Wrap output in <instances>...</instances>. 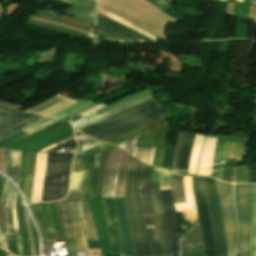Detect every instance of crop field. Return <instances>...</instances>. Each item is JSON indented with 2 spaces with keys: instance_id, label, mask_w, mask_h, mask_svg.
Here are the masks:
<instances>
[{
  "instance_id": "1",
  "label": "crop field",
  "mask_w": 256,
  "mask_h": 256,
  "mask_svg": "<svg viewBox=\"0 0 256 256\" xmlns=\"http://www.w3.org/2000/svg\"><path fill=\"white\" fill-rule=\"evenodd\" d=\"M150 167L149 165L143 164L139 161V172H138V159L131 157L130 164L128 167V173H127V181H126V187H125V193L124 198L131 222V227L134 235V243H135V251L136 256H161V251L157 252H151L160 250V242L162 247V256H172V254H167L166 249V241H165V235L164 230L161 222L160 215H162V207L159 193L150 192L151 195V201L155 216L156 225L158 228L159 236H160V242H159V236L156 229L154 218L146 219L147 221V227L149 232V238L151 243V249H150V243L148 238V232L146 227V221L145 218L153 217L152 210H151V204L149 197V180H140V196L145 198H140L139 196V179H149L150 176ZM137 172H138V188H137ZM136 188H137V198L148 248H146L137 198H136ZM159 192V191H157ZM123 197H117L113 198L121 232L122 237L124 241V256H135L134 251V243H133V235L130 227V222L125 206ZM162 221L165 229L166 234V240H167V248L168 253H172L171 245H170V235L168 232L165 216L162 215Z\"/></svg>"
},
{
  "instance_id": "2",
  "label": "crop field",
  "mask_w": 256,
  "mask_h": 256,
  "mask_svg": "<svg viewBox=\"0 0 256 256\" xmlns=\"http://www.w3.org/2000/svg\"><path fill=\"white\" fill-rule=\"evenodd\" d=\"M162 108L153 100H147L121 111L80 132L96 139L112 142L145 125L162 120Z\"/></svg>"
},
{
  "instance_id": "3",
  "label": "crop field",
  "mask_w": 256,
  "mask_h": 256,
  "mask_svg": "<svg viewBox=\"0 0 256 256\" xmlns=\"http://www.w3.org/2000/svg\"><path fill=\"white\" fill-rule=\"evenodd\" d=\"M75 148L76 143L73 138L46 151L48 152V158L41 201H55L65 196Z\"/></svg>"
},
{
  "instance_id": "4",
  "label": "crop field",
  "mask_w": 256,
  "mask_h": 256,
  "mask_svg": "<svg viewBox=\"0 0 256 256\" xmlns=\"http://www.w3.org/2000/svg\"><path fill=\"white\" fill-rule=\"evenodd\" d=\"M77 251H88L86 240L98 239L89 199L68 201Z\"/></svg>"
},
{
  "instance_id": "5",
  "label": "crop field",
  "mask_w": 256,
  "mask_h": 256,
  "mask_svg": "<svg viewBox=\"0 0 256 256\" xmlns=\"http://www.w3.org/2000/svg\"><path fill=\"white\" fill-rule=\"evenodd\" d=\"M217 202L225 233L227 256H233L236 247V215L232 185L216 180Z\"/></svg>"
},
{
  "instance_id": "6",
  "label": "crop field",
  "mask_w": 256,
  "mask_h": 256,
  "mask_svg": "<svg viewBox=\"0 0 256 256\" xmlns=\"http://www.w3.org/2000/svg\"><path fill=\"white\" fill-rule=\"evenodd\" d=\"M168 125L169 123L164 120L156 122L143 127L111 144L118 145L125 140L139 135L135 146L156 147L152 165L161 167Z\"/></svg>"
},
{
  "instance_id": "7",
  "label": "crop field",
  "mask_w": 256,
  "mask_h": 256,
  "mask_svg": "<svg viewBox=\"0 0 256 256\" xmlns=\"http://www.w3.org/2000/svg\"><path fill=\"white\" fill-rule=\"evenodd\" d=\"M235 202L239 225V240L236 255H239L241 253L248 251L249 228L251 217L250 184L235 185Z\"/></svg>"
},
{
  "instance_id": "8",
  "label": "crop field",
  "mask_w": 256,
  "mask_h": 256,
  "mask_svg": "<svg viewBox=\"0 0 256 256\" xmlns=\"http://www.w3.org/2000/svg\"><path fill=\"white\" fill-rule=\"evenodd\" d=\"M192 188L197 205V212L205 248V256H215L213 232L205 202L203 177H192Z\"/></svg>"
},
{
  "instance_id": "9",
  "label": "crop field",
  "mask_w": 256,
  "mask_h": 256,
  "mask_svg": "<svg viewBox=\"0 0 256 256\" xmlns=\"http://www.w3.org/2000/svg\"><path fill=\"white\" fill-rule=\"evenodd\" d=\"M247 138L219 136L216 147L212 177L221 180L224 160L243 155Z\"/></svg>"
},
{
  "instance_id": "10",
  "label": "crop field",
  "mask_w": 256,
  "mask_h": 256,
  "mask_svg": "<svg viewBox=\"0 0 256 256\" xmlns=\"http://www.w3.org/2000/svg\"><path fill=\"white\" fill-rule=\"evenodd\" d=\"M204 187L210 220L214 232L216 256H226V246L216 202L215 180L204 177Z\"/></svg>"
},
{
  "instance_id": "11",
  "label": "crop field",
  "mask_w": 256,
  "mask_h": 256,
  "mask_svg": "<svg viewBox=\"0 0 256 256\" xmlns=\"http://www.w3.org/2000/svg\"><path fill=\"white\" fill-rule=\"evenodd\" d=\"M131 155L122 149H117L112 162L107 197L123 196L127 167Z\"/></svg>"
},
{
  "instance_id": "12",
  "label": "crop field",
  "mask_w": 256,
  "mask_h": 256,
  "mask_svg": "<svg viewBox=\"0 0 256 256\" xmlns=\"http://www.w3.org/2000/svg\"><path fill=\"white\" fill-rule=\"evenodd\" d=\"M5 110V109H2ZM9 111V110H6ZM12 113L8 114L9 112L1 111L0 110V129L13 134L16 133L44 118L39 117L37 115H30V114H24V113H17L10 111ZM0 130V140L9 136L10 134Z\"/></svg>"
},
{
  "instance_id": "13",
  "label": "crop field",
  "mask_w": 256,
  "mask_h": 256,
  "mask_svg": "<svg viewBox=\"0 0 256 256\" xmlns=\"http://www.w3.org/2000/svg\"><path fill=\"white\" fill-rule=\"evenodd\" d=\"M107 229L111 242V255L123 256V241L112 198H102Z\"/></svg>"
},
{
  "instance_id": "14",
  "label": "crop field",
  "mask_w": 256,
  "mask_h": 256,
  "mask_svg": "<svg viewBox=\"0 0 256 256\" xmlns=\"http://www.w3.org/2000/svg\"><path fill=\"white\" fill-rule=\"evenodd\" d=\"M88 156L75 155L68 199L83 198Z\"/></svg>"
},
{
  "instance_id": "15",
  "label": "crop field",
  "mask_w": 256,
  "mask_h": 256,
  "mask_svg": "<svg viewBox=\"0 0 256 256\" xmlns=\"http://www.w3.org/2000/svg\"><path fill=\"white\" fill-rule=\"evenodd\" d=\"M55 203L57 207L59 223L65 240L67 255L76 256L75 240L69 218L67 201H57Z\"/></svg>"
},
{
  "instance_id": "16",
  "label": "crop field",
  "mask_w": 256,
  "mask_h": 256,
  "mask_svg": "<svg viewBox=\"0 0 256 256\" xmlns=\"http://www.w3.org/2000/svg\"><path fill=\"white\" fill-rule=\"evenodd\" d=\"M202 242L199 223L180 239V246ZM181 256H204L203 244H194L180 247Z\"/></svg>"
},
{
  "instance_id": "17",
  "label": "crop field",
  "mask_w": 256,
  "mask_h": 256,
  "mask_svg": "<svg viewBox=\"0 0 256 256\" xmlns=\"http://www.w3.org/2000/svg\"><path fill=\"white\" fill-rule=\"evenodd\" d=\"M160 193H161V197H162V201L165 209V215H166L169 232L171 235L172 250L179 251L177 222H176V216L174 213L171 192L170 190H165V191H160Z\"/></svg>"
},
{
  "instance_id": "18",
  "label": "crop field",
  "mask_w": 256,
  "mask_h": 256,
  "mask_svg": "<svg viewBox=\"0 0 256 256\" xmlns=\"http://www.w3.org/2000/svg\"><path fill=\"white\" fill-rule=\"evenodd\" d=\"M73 5L70 11L63 10L71 16L87 20L90 22L95 21L94 7L95 3L87 0H58Z\"/></svg>"
},
{
  "instance_id": "19",
  "label": "crop field",
  "mask_w": 256,
  "mask_h": 256,
  "mask_svg": "<svg viewBox=\"0 0 256 256\" xmlns=\"http://www.w3.org/2000/svg\"><path fill=\"white\" fill-rule=\"evenodd\" d=\"M74 102L75 101H72L70 99H65L59 95H56V96L48 99L47 101H45L27 111L35 112V113H38V114L48 117V116L62 110L63 108L71 105Z\"/></svg>"
},
{
  "instance_id": "20",
  "label": "crop field",
  "mask_w": 256,
  "mask_h": 256,
  "mask_svg": "<svg viewBox=\"0 0 256 256\" xmlns=\"http://www.w3.org/2000/svg\"><path fill=\"white\" fill-rule=\"evenodd\" d=\"M97 24L119 34L122 35L132 41H139V42H154L104 16H101L99 14H97Z\"/></svg>"
},
{
  "instance_id": "21",
  "label": "crop field",
  "mask_w": 256,
  "mask_h": 256,
  "mask_svg": "<svg viewBox=\"0 0 256 256\" xmlns=\"http://www.w3.org/2000/svg\"><path fill=\"white\" fill-rule=\"evenodd\" d=\"M148 95H151V93H150V91L148 89L140 91V92L135 93V94H133L131 96L123 98V99H121V100H119V101H117L115 103H112V104H110V105H108L106 107H103V108H101V109H99V110H97V111H95V112L85 116V118H87L89 121H91V120H93V119H95L97 117H100V116H102L104 114H107V113H109L111 111H114V110H116L118 108H121V107H123V106H125V105H127V104H129V103H131L133 101H136L138 99L144 98V97H146Z\"/></svg>"
},
{
  "instance_id": "22",
  "label": "crop field",
  "mask_w": 256,
  "mask_h": 256,
  "mask_svg": "<svg viewBox=\"0 0 256 256\" xmlns=\"http://www.w3.org/2000/svg\"><path fill=\"white\" fill-rule=\"evenodd\" d=\"M35 160L36 153L35 152H26L25 159V174H24V184L22 194L25 197L27 203H30L31 193H32V185L35 171Z\"/></svg>"
},
{
  "instance_id": "23",
  "label": "crop field",
  "mask_w": 256,
  "mask_h": 256,
  "mask_svg": "<svg viewBox=\"0 0 256 256\" xmlns=\"http://www.w3.org/2000/svg\"><path fill=\"white\" fill-rule=\"evenodd\" d=\"M46 156H47V153H37L36 171H35L31 203L40 202V199H41L42 182H43V174H44Z\"/></svg>"
},
{
  "instance_id": "24",
  "label": "crop field",
  "mask_w": 256,
  "mask_h": 256,
  "mask_svg": "<svg viewBox=\"0 0 256 256\" xmlns=\"http://www.w3.org/2000/svg\"><path fill=\"white\" fill-rule=\"evenodd\" d=\"M33 17L36 18H40L43 20H49V21H54V22H58V23H62V24H66L75 28H79L85 31L90 32L93 23L87 22V21H83L74 17H70L64 14H58L57 18H53V17H49V16H45V15H40V14H35L33 15Z\"/></svg>"
},
{
  "instance_id": "25",
  "label": "crop field",
  "mask_w": 256,
  "mask_h": 256,
  "mask_svg": "<svg viewBox=\"0 0 256 256\" xmlns=\"http://www.w3.org/2000/svg\"><path fill=\"white\" fill-rule=\"evenodd\" d=\"M19 150H7L6 155V175L9 176L17 185L19 184V162H20Z\"/></svg>"
},
{
  "instance_id": "26",
  "label": "crop field",
  "mask_w": 256,
  "mask_h": 256,
  "mask_svg": "<svg viewBox=\"0 0 256 256\" xmlns=\"http://www.w3.org/2000/svg\"><path fill=\"white\" fill-rule=\"evenodd\" d=\"M43 205L44 203H41V204L30 205L28 207L40 229L42 243H47L51 241H50L49 235L47 234L48 231H47V226H46V221H45V216L43 211Z\"/></svg>"
},
{
  "instance_id": "27",
  "label": "crop field",
  "mask_w": 256,
  "mask_h": 256,
  "mask_svg": "<svg viewBox=\"0 0 256 256\" xmlns=\"http://www.w3.org/2000/svg\"><path fill=\"white\" fill-rule=\"evenodd\" d=\"M194 134L195 133H188V132H185L184 134L179 167L177 172L178 174L186 175Z\"/></svg>"
},
{
  "instance_id": "28",
  "label": "crop field",
  "mask_w": 256,
  "mask_h": 256,
  "mask_svg": "<svg viewBox=\"0 0 256 256\" xmlns=\"http://www.w3.org/2000/svg\"><path fill=\"white\" fill-rule=\"evenodd\" d=\"M251 228H250V241L249 251L254 249L256 246V184H251Z\"/></svg>"
},
{
  "instance_id": "29",
  "label": "crop field",
  "mask_w": 256,
  "mask_h": 256,
  "mask_svg": "<svg viewBox=\"0 0 256 256\" xmlns=\"http://www.w3.org/2000/svg\"><path fill=\"white\" fill-rule=\"evenodd\" d=\"M170 185L174 203L186 202L182 185V176L171 172Z\"/></svg>"
},
{
  "instance_id": "30",
  "label": "crop field",
  "mask_w": 256,
  "mask_h": 256,
  "mask_svg": "<svg viewBox=\"0 0 256 256\" xmlns=\"http://www.w3.org/2000/svg\"><path fill=\"white\" fill-rule=\"evenodd\" d=\"M9 180L5 179L4 187L0 197V241L7 248L6 244V208H3L4 198Z\"/></svg>"
},
{
  "instance_id": "31",
  "label": "crop field",
  "mask_w": 256,
  "mask_h": 256,
  "mask_svg": "<svg viewBox=\"0 0 256 256\" xmlns=\"http://www.w3.org/2000/svg\"><path fill=\"white\" fill-rule=\"evenodd\" d=\"M23 209H24L25 218H26L28 236L30 238V243H31L32 256H39V254H38V236L36 234V231L34 229L32 222L27 214L26 208L23 207Z\"/></svg>"
},
{
  "instance_id": "32",
  "label": "crop field",
  "mask_w": 256,
  "mask_h": 256,
  "mask_svg": "<svg viewBox=\"0 0 256 256\" xmlns=\"http://www.w3.org/2000/svg\"><path fill=\"white\" fill-rule=\"evenodd\" d=\"M97 12L102 14V15H104V16H106V17H108V18H110V19H112V20H115V21H117V22H119V23H121V24H123V25H125V26H127L129 28H131L132 30H134V31H136V32H138V33H140V34H142V35H144V36H146V37H148V38H150L152 40L155 39L154 36L144 32L143 30H141V29H139V28H137V27H135L133 25H131L130 23L124 21L123 19L119 18L118 16H116V15H114V14L108 12V11H105V10H102V9L98 8Z\"/></svg>"
},
{
  "instance_id": "33",
  "label": "crop field",
  "mask_w": 256,
  "mask_h": 256,
  "mask_svg": "<svg viewBox=\"0 0 256 256\" xmlns=\"http://www.w3.org/2000/svg\"><path fill=\"white\" fill-rule=\"evenodd\" d=\"M116 148L117 147H114V148L110 149V151H109V155H108L107 162H106L105 169H104L102 197H106V194H107L110 167H111V162L114 157Z\"/></svg>"
},
{
  "instance_id": "34",
  "label": "crop field",
  "mask_w": 256,
  "mask_h": 256,
  "mask_svg": "<svg viewBox=\"0 0 256 256\" xmlns=\"http://www.w3.org/2000/svg\"><path fill=\"white\" fill-rule=\"evenodd\" d=\"M154 148H135L132 155L151 165Z\"/></svg>"
},
{
  "instance_id": "35",
  "label": "crop field",
  "mask_w": 256,
  "mask_h": 256,
  "mask_svg": "<svg viewBox=\"0 0 256 256\" xmlns=\"http://www.w3.org/2000/svg\"><path fill=\"white\" fill-rule=\"evenodd\" d=\"M100 154H101V152L96 154L95 157H94L92 176H91L90 197H95L97 173H98Z\"/></svg>"
},
{
  "instance_id": "36",
  "label": "crop field",
  "mask_w": 256,
  "mask_h": 256,
  "mask_svg": "<svg viewBox=\"0 0 256 256\" xmlns=\"http://www.w3.org/2000/svg\"><path fill=\"white\" fill-rule=\"evenodd\" d=\"M92 34H96L99 36H103V37H107V38H113V39H121V40H127L99 25L96 24V26L94 27ZM129 41V40H128Z\"/></svg>"
},
{
  "instance_id": "37",
  "label": "crop field",
  "mask_w": 256,
  "mask_h": 256,
  "mask_svg": "<svg viewBox=\"0 0 256 256\" xmlns=\"http://www.w3.org/2000/svg\"><path fill=\"white\" fill-rule=\"evenodd\" d=\"M234 183H248V168L247 165L237 167L235 171Z\"/></svg>"
},
{
  "instance_id": "38",
  "label": "crop field",
  "mask_w": 256,
  "mask_h": 256,
  "mask_svg": "<svg viewBox=\"0 0 256 256\" xmlns=\"http://www.w3.org/2000/svg\"><path fill=\"white\" fill-rule=\"evenodd\" d=\"M53 123H55V121H51V120L45 119V120H43L41 122H38V123H36V124L26 128V129L22 130V131H24V132H26L28 134H32V133H34V132H36L38 130H41V129H43V128L53 124Z\"/></svg>"
},
{
  "instance_id": "39",
  "label": "crop field",
  "mask_w": 256,
  "mask_h": 256,
  "mask_svg": "<svg viewBox=\"0 0 256 256\" xmlns=\"http://www.w3.org/2000/svg\"><path fill=\"white\" fill-rule=\"evenodd\" d=\"M159 168L151 167L150 191L159 190Z\"/></svg>"
},
{
  "instance_id": "40",
  "label": "crop field",
  "mask_w": 256,
  "mask_h": 256,
  "mask_svg": "<svg viewBox=\"0 0 256 256\" xmlns=\"http://www.w3.org/2000/svg\"><path fill=\"white\" fill-rule=\"evenodd\" d=\"M93 157H94V155L89 156V160H88V168H87V174H86V187H85L84 198L89 197L90 176H91V168H92Z\"/></svg>"
},
{
  "instance_id": "41",
  "label": "crop field",
  "mask_w": 256,
  "mask_h": 256,
  "mask_svg": "<svg viewBox=\"0 0 256 256\" xmlns=\"http://www.w3.org/2000/svg\"><path fill=\"white\" fill-rule=\"evenodd\" d=\"M183 133L184 132L179 133V136H178V142H177V146H176V150H175L174 161H173V165H172V169H171L174 172H176V170H177L179 151H180V145H181Z\"/></svg>"
},
{
  "instance_id": "42",
  "label": "crop field",
  "mask_w": 256,
  "mask_h": 256,
  "mask_svg": "<svg viewBox=\"0 0 256 256\" xmlns=\"http://www.w3.org/2000/svg\"><path fill=\"white\" fill-rule=\"evenodd\" d=\"M25 136H27V135L24 132L21 131V132L15 134V135H12V136H10L6 139H3V140L0 141V148L9 144V143H11V142H13V141H15V140H17V139L25 137Z\"/></svg>"
},
{
  "instance_id": "43",
  "label": "crop field",
  "mask_w": 256,
  "mask_h": 256,
  "mask_svg": "<svg viewBox=\"0 0 256 256\" xmlns=\"http://www.w3.org/2000/svg\"><path fill=\"white\" fill-rule=\"evenodd\" d=\"M7 235H14L10 208H7Z\"/></svg>"
},
{
  "instance_id": "44",
  "label": "crop field",
  "mask_w": 256,
  "mask_h": 256,
  "mask_svg": "<svg viewBox=\"0 0 256 256\" xmlns=\"http://www.w3.org/2000/svg\"><path fill=\"white\" fill-rule=\"evenodd\" d=\"M138 137V136H137ZM137 137H134L122 144H120L119 146L123 147L124 149H126L128 152L132 153L133 147L135 145L136 139Z\"/></svg>"
},
{
  "instance_id": "45",
  "label": "crop field",
  "mask_w": 256,
  "mask_h": 256,
  "mask_svg": "<svg viewBox=\"0 0 256 256\" xmlns=\"http://www.w3.org/2000/svg\"><path fill=\"white\" fill-rule=\"evenodd\" d=\"M249 167V183H256V164L248 165Z\"/></svg>"
},
{
  "instance_id": "46",
  "label": "crop field",
  "mask_w": 256,
  "mask_h": 256,
  "mask_svg": "<svg viewBox=\"0 0 256 256\" xmlns=\"http://www.w3.org/2000/svg\"><path fill=\"white\" fill-rule=\"evenodd\" d=\"M148 2H150L152 5H154L155 7H160L172 0H147Z\"/></svg>"
},
{
  "instance_id": "47",
  "label": "crop field",
  "mask_w": 256,
  "mask_h": 256,
  "mask_svg": "<svg viewBox=\"0 0 256 256\" xmlns=\"http://www.w3.org/2000/svg\"><path fill=\"white\" fill-rule=\"evenodd\" d=\"M112 147H113V146H111V145H109V144H106V145H104V146H102V147H100V148H98V149H96V150H93V151H91V152H89V153H87V154H85V155L96 154V153H98V152H100V151L108 150V149H110V148H112Z\"/></svg>"
},
{
  "instance_id": "48",
  "label": "crop field",
  "mask_w": 256,
  "mask_h": 256,
  "mask_svg": "<svg viewBox=\"0 0 256 256\" xmlns=\"http://www.w3.org/2000/svg\"><path fill=\"white\" fill-rule=\"evenodd\" d=\"M4 179L5 178L1 176V179H0V194H1L3 183H4Z\"/></svg>"
},
{
  "instance_id": "49",
  "label": "crop field",
  "mask_w": 256,
  "mask_h": 256,
  "mask_svg": "<svg viewBox=\"0 0 256 256\" xmlns=\"http://www.w3.org/2000/svg\"><path fill=\"white\" fill-rule=\"evenodd\" d=\"M73 136V135H72ZM71 137V136H70ZM69 138V137H68ZM68 139L66 138V139H64V140H62V141H60V142H58V143H56V145H59V144H61V143H63V142H65V141H67Z\"/></svg>"
},
{
  "instance_id": "50",
  "label": "crop field",
  "mask_w": 256,
  "mask_h": 256,
  "mask_svg": "<svg viewBox=\"0 0 256 256\" xmlns=\"http://www.w3.org/2000/svg\"><path fill=\"white\" fill-rule=\"evenodd\" d=\"M255 250L249 253V256H254Z\"/></svg>"
},
{
  "instance_id": "51",
  "label": "crop field",
  "mask_w": 256,
  "mask_h": 256,
  "mask_svg": "<svg viewBox=\"0 0 256 256\" xmlns=\"http://www.w3.org/2000/svg\"><path fill=\"white\" fill-rule=\"evenodd\" d=\"M251 4L256 5V0H251Z\"/></svg>"
},
{
  "instance_id": "52",
  "label": "crop field",
  "mask_w": 256,
  "mask_h": 256,
  "mask_svg": "<svg viewBox=\"0 0 256 256\" xmlns=\"http://www.w3.org/2000/svg\"><path fill=\"white\" fill-rule=\"evenodd\" d=\"M248 255V253L247 254H245V255H242V256H247Z\"/></svg>"
},
{
  "instance_id": "53",
  "label": "crop field",
  "mask_w": 256,
  "mask_h": 256,
  "mask_svg": "<svg viewBox=\"0 0 256 256\" xmlns=\"http://www.w3.org/2000/svg\"><path fill=\"white\" fill-rule=\"evenodd\" d=\"M229 1H234L235 2V0H229Z\"/></svg>"
},
{
  "instance_id": "54",
  "label": "crop field",
  "mask_w": 256,
  "mask_h": 256,
  "mask_svg": "<svg viewBox=\"0 0 256 256\" xmlns=\"http://www.w3.org/2000/svg\"><path fill=\"white\" fill-rule=\"evenodd\" d=\"M91 1H94V2H95L96 0H91Z\"/></svg>"
},
{
  "instance_id": "55",
  "label": "crop field",
  "mask_w": 256,
  "mask_h": 256,
  "mask_svg": "<svg viewBox=\"0 0 256 256\" xmlns=\"http://www.w3.org/2000/svg\"><path fill=\"white\" fill-rule=\"evenodd\" d=\"M255 256H256V253H255Z\"/></svg>"
},
{
  "instance_id": "56",
  "label": "crop field",
  "mask_w": 256,
  "mask_h": 256,
  "mask_svg": "<svg viewBox=\"0 0 256 256\" xmlns=\"http://www.w3.org/2000/svg\"><path fill=\"white\" fill-rule=\"evenodd\" d=\"M214 1V0H213ZM219 1V0H218Z\"/></svg>"
}]
</instances>
